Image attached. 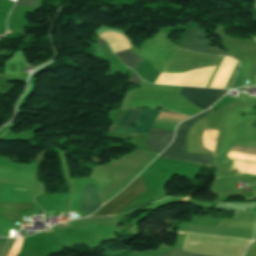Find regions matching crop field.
<instances>
[{
	"label": "crop field",
	"mask_w": 256,
	"mask_h": 256,
	"mask_svg": "<svg viewBox=\"0 0 256 256\" xmlns=\"http://www.w3.org/2000/svg\"><path fill=\"white\" fill-rule=\"evenodd\" d=\"M178 233H180V232H178ZM182 234H185V233H182Z\"/></svg>",
	"instance_id": "16"
},
{
	"label": "crop field",
	"mask_w": 256,
	"mask_h": 256,
	"mask_svg": "<svg viewBox=\"0 0 256 256\" xmlns=\"http://www.w3.org/2000/svg\"><path fill=\"white\" fill-rule=\"evenodd\" d=\"M251 126L256 128V121L251 124Z\"/></svg>",
	"instance_id": "15"
},
{
	"label": "crop field",
	"mask_w": 256,
	"mask_h": 256,
	"mask_svg": "<svg viewBox=\"0 0 256 256\" xmlns=\"http://www.w3.org/2000/svg\"><path fill=\"white\" fill-rule=\"evenodd\" d=\"M211 109L183 122L177 127L173 143L159 156L174 160L188 161L203 165H212L213 156L186 152V135L192 124L204 118Z\"/></svg>",
	"instance_id": "1"
},
{
	"label": "crop field",
	"mask_w": 256,
	"mask_h": 256,
	"mask_svg": "<svg viewBox=\"0 0 256 256\" xmlns=\"http://www.w3.org/2000/svg\"><path fill=\"white\" fill-rule=\"evenodd\" d=\"M96 188V185H86L82 191L80 198L82 217L90 215L100 207Z\"/></svg>",
	"instance_id": "6"
},
{
	"label": "crop field",
	"mask_w": 256,
	"mask_h": 256,
	"mask_svg": "<svg viewBox=\"0 0 256 256\" xmlns=\"http://www.w3.org/2000/svg\"><path fill=\"white\" fill-rule=\"evenodd\" d=\"M5 241H6V239L0 238V250H1L2 246L4 245Z\"/></svg>",
	"instance_id": "13"
},
{
	"label": "crop field",
	"mask_w": 256,
	"mask_h": 256,
	"mask_svg": "<svg viewBox=\"0 0 256 256\" xmlns=\"http://www.w3.org/2000/svg\"><path fill=\"white\" fill-rule=\"evenodd\" d=\"M178 47L207 54L229 55L227 52L218 48L209 47L206 41V35L196 28L187 30Z\"/></svg>",
	"instance_id": "5"
},
{
	"label": "crop field",
	"mask_w": 256,
	"mask_h": 256,
	"mask_svg": "<svg viewBox=\"0 0 256 256\" xmlns=\"http://www.w3.org/2000/svg\"><path fill=\"white\" fill-rule=\"evenodd\" d=\"M37 0H18L16 5L35 7Z\"/></svg>",
	"instance_id": "11"
},
{
	"label": "crop field",
	"mask_w": 256,
	"mask_h": 256,
	"mask_svg": "<svg viewBox=\"0 0 256 256\" xmlns=\"http://www.w3.org/2000/svg\"><path fill=\"white\" fill-rule=\"evenodd\" d=\"M228 90L216 89H200L184 87L180 93L184 98L192 104L202 108L203 110L212 106L221 96L227 93Z\"/></svg>",
	"instance_id": "4"
},
{
	"label": "crop field",
	"mask_w": 256,
	"mask_h": 256,
	"mask_svg": "<svg viewBox=\"0 0 256 256\" xmlns=\"http://www.w3.org/2000/svg\"><path fill=\"white\" fill-rule=\"evenodd\" d=\"M160 256H211V255L185 252V251H180V250L172 248L171 250H169L168 252H166Z\"/></svg>",
	"instance_id": "9"
},
{
	"label": "crop field",
	"mask_w": 256,
	"mask_h": 256,
	"mask_svg": "<svg viewBox=\"0 0 256 256\" xmlns=\"http://www.w3.org/2000/svg\"><path fill=\"white\" fill-rule=\"evenodd\" d=\"M142 110L127 109L124 117L118 125L130 126L136 124ZM133 128L123 126H112L109 131L115 132L117 135L123 136H138V134H131ZM173 132L152 127L145 144L151 151L161 153L165 147L171 142Z\"/></svg>",
	"instance_id": "2"
},
{
	"label": "crop field",
	"mask_w": 256,
	"mask_h": 256,
	"mask_svg": "<svg viewBox=\"0 0 256 256\" xmlns=\"http://www.w3.org/2000/svg\"><path fill=\"white\" fill-rule=\"evenodd\" d=\"M97 43L98 44H101V45H104V46H107L106 42L100 40V39H97ZM108 47V46H107Z\"/></svg>",
	"instance_id": "14"
},
{
	"label": "crop field",
	"mask_w": 256,
	"mask_h": 256,
	"mask_svg": "<svg viewBox=\"0 0 256 256\" xmlns=\"http://www.w3.org/2000/svg\"><path fill=\"white\" fill-rule=\"evenodd\" d=\"M34 210L33 205L1 203L0 215L8 221H20V211Z\"/></svg>",
	"instance_id": "7"
},
{
	"label": "crop field",
	"mask_w": 256,
	"mask_h": 256,
	"mask_svg": "<svg viewBox=\"0 0 256 256\" xmlns=\"http://www.w3.org/2000/svg\"><path fill=\"white\" fill-rule=\"evenodd\" d=\"M126 66L131 69H135L144 59L135 55L134 53L127 51L115 54Z\"/></svg>",
	"instance_id": "8"
},
{
	"label": "crop field",
	"mask_w": 256,
	"mask_h": 256,
	"mask_svg": "<svg viewBox=\"0 0 256 256\" xmlns=\"http://www.w3.org/2000/svg\"><path fill=\"white\" fill-rule=\"evenodd\" d=\"M128 81H129V80H128ZM139 82H140V79L136 76L135 73H133V75H132V77H131L129 83H132V84H136V85H137Z\"/></svg>",
	"instance_id": "12"
},
{
	"label": "crop field",
	"mask_w": 256,
	"mask_h": 256,
	"mask_svg": "<svg viewBox=\"0 0 256 256\" xmlns=\"http://www.w3.org/2000/svg\"><path fill=\"white\" fill-rule=\"evenodd\" d=\"M81 221H91V222L102 223L108 226H116L115 217L89 218V219L87 218Z\"/></svg>",
	"instance_id": "10"
},
{
	"label": "crop field",
	"mask_w": 256,
	"mask_h": 256,
	"mask_svg": "<svg viewBox=\"0 0 256 256\" xmlns=\"http://www.w3.org/2000/svg\"><path fill=\"white\" fill-rule=\"evenodd\" d=\"M143 192H144V184L142 183L141 179L138 176L135 179V181L126 190L119 193L102 209H100L98 212H96L94 215L90 217L117 214L121 212L124 208H126L132 201H134Z\"/></svg>",
	"instance_id": "3"
}]
</instances>
